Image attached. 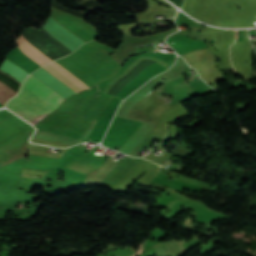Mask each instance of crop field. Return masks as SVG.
<instances>
[{
  "label": "crop field",
  "instance_id": "6",
  "mask_svg": "<svg viewBox=\"0 0 256 256\" xmlns=\"http://www.w3.org/2000/svg\"><path fill=\"white\" fill-rule=\"evenodd\" d=\"M143 244H144V243H143ZM143 244L140 245V249L137 251V255L141 253V251H142V245H143Z\"/></svg>",
  "mask_w": 256,
  "mask_h": 256
},
{
  "label": "crop field",
  "instance_id": "4",
  "mask_svg": "<svg viewBox=\"0 0 256 256\" xmlns=\"http://www.w3.org/2000/svg\"><path fill=\"white\" fill-rule=\"evenodd\" d=\"M53 68H55L57 71H59L61 74H63L65 77H67L68 79H70L72 82H74L77 86H79L81 89H89V87H87L85 84H83L82 82H80L76 77H74L70 72H68L67 70H65L64 68H62L60 65H58L57 63L53 62L51 64Z\"/></svg>",
  "mask_w": 256,
  "mask_h": 256
},
{
  "label": "crop field",
  "instance_id": "8",
  "mask_svg": "<svg viewBox=\"0 0 256 256\" xmlns=\"http://www.w3.org/2000/svg\"><path fill=\"white\" fill-rule=\"evenodd\" d=\"M22 206H23V203L21 204V206H20V208H19V209H21V208H22Z\"/></svg>",
  "mask_w": 256,
  "mask_h": 256
},
{
  "label": "crop field",
  "instance_id": "1",
  "mask_svg": "<svg viewBox=\"0 0 256 256\" xmlns=\"http://www.w3.org/2000/svg\"><path fill=\"white\" fill-rule=\"evenodd\" d=\"M45 86L28 76L20 93L5 108L34 126L65 100Z\"/></svg>",
  "mask_w": 256,
  "mask_h": 256
},
{
  "label": "crop field",
  "instance_id": "7",
  "mask_svg": "<svg viewBox=\"0 0 256 256\" xmlns=\"http://www.w3.org/2000/svg\"><path fill=\"white\" fill-rule=\"evenodd\" d=\"M15 206H17V205H16V204H14V205H12V206H10V207L6 208V209L8 210V209H11V208H13V207H15Z\"/></svg>",
  "mask_w": 256,
  "mask_h": 256
},
{
  "label": "crop field",
  "instance_id": "3",
  "mask_svg": "<svg viewBox=\"0 0 256 256\" xmlns=\"http://www.w3.org/2000/svg\"><path fill=\"white\" fill-rule=\"evenodd\" d=\"M44 69H46L49 73H51L55 78H57L58 80H60L62 83H64L65 85H67L68 87H70L72 90L76 91L77 94L82 92L75 84H73L71 81H69L67 78H65L64 76H62L60 73H58L57 71H55L54 69H52L50 66L46 65L44 67H42Z\"/></svg>",
  "mask_w": 256,
  "mask_h": 256
},
{
  "label": "crop field",
  "instance_id": "5",
  "mask_svg": "<svg viewBox=\"0 0 256 256\" xmlns=\"http://www.w3.org/2000/svg\"><path fill=\"white\" fill-rule=\"evenodd\" d=\"M15 93L10 87L0 82V103L4 106L5 102L14 97Z\"/></svg>",
  "mask_w": 256,
  "mask_h": 256
},
{
  "label": "crop field",
  "instance_id": "2",
  "mask_svg": "<svg viewBox=\"0 0 256 256\" xmlns=\"http://www.w3.org/2000/svg\"><path fill=\"white\" fill-rule=\"evenodd\" d=\"M26 39V38H25ZM25 39H24V37L21 35V36H19L18 37V39H17V41L15 42V43H17L18 45H19V47H20V49H22L23 51H24V53H26L30 58H32L35 62H37V63H39V64H41L42 66L43 65H45V64H47V63H50V62H52V61H50L48 58H46L43 54H41L38 50H36V49H34L29 43H27L26 41H25ZM27 40V39H26ZM16 44V45H17ZM23 53V52H22ZM23 53V54H24ZM26 55V56H27ZM27 56V57H28ZM31 59V60H32Z\"/></svg>",
  "mask_w": 256,
  "mask_h": 256
}]
</instances>
